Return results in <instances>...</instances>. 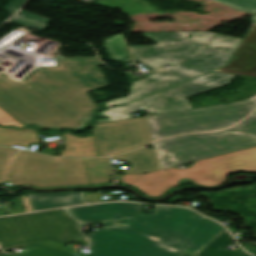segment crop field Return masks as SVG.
<instances>
[{"instance_id":"1","label":"crop field","mask_w":256,"mask_h":256,"mask_svg":"<svg viewBox=\"0 0 256 256\" xmlns=\"http://www.w3.org/2000/svg\"><path fill=\"white\" fill-rule=\"evenodd\" d=\"M58 65L38 66L24 80L0 73V107L23 125L38 129H81L99 108L88 93L108 83L96 57L57 58ZM31 86V88H28Z\"/></svg>"},{"instance_id":"2","label":"crop field","mask_w":256,"mask_h":256,"mask_svg":"<svg viewBox=\"0 0 256 256\" xmlns=\"http://www.w3.org/2000/svg\"><path fill=\"white\" fill-rule=\"evenodd\" d=\"M140 209L141 205L135 203L67 208L79 220L80 227L95 221H101L104 227L124 224L194 255L225 230L220 224L185 208L156 206L154 214L140 213Z\"/></svg>"},{"instance_id":"3","label":"crop field","mask_w":256,"mask_h":256,"mask_svg":"<svg viewBox=\"0 0 256 256\" xmlns=\"http://www.w3.org/2000/svg\"><path fill=\"white\" fill-rule=\"evenodd\" d=\"M232 172H256V147L197 161L188 169L173 167L149 174L123 175V183L154 198L178 185L181 179L189 178L194 185L217 186Z\"/></svg>"},{"instance_id":"4","label":"crop field","mask_w":256,"mask_h":256,"mask_svg":"<svg viewBox=\"0 0 256 256\" xmlns=\"http://www.w3.org/2000/svg\"><path fill=\"white\" fill-rule=\"evenodd\" d=\"M109 158L57 159L20 151L11 179L37 187L87 185L111 181Z\"/></svg>"},{"instance_id":"5","label":"crop field","mask_w":256,"mask_h":256,"mask_svg":"<svg viewBox=\"0 0 256 256\" xmlns=\"http://www.w3.org/2000/svg\"><path fill=\"white\" fill-rule=\"evenodd\" d=\"M161 169L256 146V111L234 128L184 135L153 144Z\"/></svg>"},{"instance_id":"6","label":"crop field","mask_w":256,"mask_h":256,"mask_svg":"<svg viewBox=\"0 0 256 256\" xmlns=\"http://www.w3.org/2000/svg\"><path fill=\"white\" fill-rule=\"evenodd\" d=\"M256 107V96L229 105L188 109L147 118L152 140L185 132L214 131L245 118ZM238 123V122H237Z\"/></svg>"},{"instance_id":"7","label":"crop field","mask_w":256,"mask_h":256,"mask_svg":"<svg viewBox=\"0 0 256 256\" xmlns=\"http://www.w3.org/2000/svg\"><path fill=\"white\" fill-rule=\"evenodd\" d=\"M82 236L75 220L64 209L0 218V245L3 251L46 240L70 244Z\"/></svg>"},{"instance_id":"8","label":"crop field","mask_w":256,"mask_h":256,"mask_svg":"<svg viewBox=\"0 0 256 256\" xmlns=\"http://www.w3.org/2000/svg\"><path fill=\"white\" fill-rule=\"evenodd\" d=\"M92 253L88 256H181L183 253L124 226L100 229L88 236ZM30 250L22 256H76L37 244L23 245ZM0 256H16L0 253Z\"/></svg>"},{"instance_id":"9","label":"crop field","mask_w":256,"mask_h":256,"mask_svg":"<svg viewBox=\"0 0 256 256\" xmlns=\"http://www.w3.org/2000/svg\"><path fill=\"white\" fill-rule=\"evenodd\" d=\"M240 41V38L223 35L216 36L203 54L151 75L144 80L134 82L131 94L128 97L106 102L104 103L105 107L126 103L221 67L227 63Z\"/></svg>"},{"instance_id":"10","label":"crop field","mask_w":256,"mask_h":256,"mask_svg":"<svg viewBox=\"0 0 256 256\" xmlns=\"http://www.w3.org/2000/svg\"><path fill=\"white\" fill-rule=\"evenodd\" d=\"M235 76L222 73H209L125 107H114L102 112L99 114L100 116H109L110 118L96 120L95 124L132 118L130 113L141 107L149 112L155 113L191 108L186 98L228 84Z\"/></svg>"},{"instance_id":"11","label":"crop field","mask_w":256,"mask_h":256,"mask_svg":"<svg viewBox=\"0 0 256 256\" xmlns=\"http://www.w3.org/2000/svg\"><path fill=\"white\" fill-rule=\"evenodd\" d=\"M190 34L192 36L187 39ZM142 35L158 44L153 47H129L135 61L150 70H160L168 63L175 65L202 53L216 33L162 32Z\"/></svg>"},{"instance_id":"12","label":"crop field","mask_w":256,"mask_h":256,"mask_svg":"<svg viewBox=\"0 0 256 256\" xmlns=\"http://www.w3.org/2000/svg\"><path fill=\"white\" fill-rule=\"evenodd\" d=\"M99 156L116 155L150 143L144 117L92 126Z\"/></svg>"},{"instance_id":"13","label":"crop field","mask_w":256,"mask_h":256,"mask_svg":"<svg viewBox=\"0 0 256 256\" xmlns=\"http://www.w3.org/2000/svg\"><path fill=\"white\" fill-rule=\"evenodd\" d=\"M216 71L256 77V22L252 23L229 64Z\"/></svg>"},{"instance_id":"14","label":"crop field","mask_w":256,"mask_h":256,"mask_svg":"<svg viewBox=\"0 0 256 256\" xmlns=\"http://www.w3.org/2000/svg\"><path fill=\"white\" fill-rule=\"evenodd\" d=\"M112 159H122L130 164V168L114 170L115 172H124V174L149 173L157 171L158 165L155 153L152 150L141 149L127 153Z\"/></svg>"},{"instance_id":"15","label":"crop field","mask_w":256,"mask_h":256,"mask_svg":"<svg viewBox=\"0 0 256 256\" xmlns=\"http://www.w3.org/2000/svg\"><path fill=\"white\" fill-rule=\"evenodd\" d=\"M28 198L33 211L53 207L85 204L83 193L29 194Z\"/></svg>"},{"instance_id":"16","label":"crop field","mask_w":256,"mask_h":256,"mask_svg":"<svg viewBox=\"0 0 256 256\" xmlns=\"http://www.w3.org/2000/svg\"><path fill=\"white\" fill-rule=\"evenodd\" d=\"M64 137L66 150L62 151L63 156H97L92 134L81 138L67 132Z\"/></svg>"},{"instance_id":"17","label":"crop field","mask_w":256,"mask_h":256,"mask_svg":"<svg viewBox=\"0 0 256 256\" xmlns=\"http://www.w3.org/2000/svg\"><path fill=\"white\" fill-rule=\"evenodd\" d=\"M28 143H39L35 129L0 128V146H27Z\"/></svg>"},{"instance_id":"18","label":"crop field","mask_w":256,"mask_h":256,"mask_svg":"<svg viewBox=\"0 0 256 256\" xmlns=\"http://www.w3.org/2000/svg\"><path fill=\"white\" fill-rule=\"evenodd\" d=\"M232 241V237L225 230L199 254H197V256H250L245 252L222 251Z\"/></svg>"},{"instance_id":"19","label":"crop field","mask_w":256,"mask_h":256,"mask_svg":"<svg viewBox=\"0 0 256 256\" xmlns=\"http://www.w3.org/2000/svg\"><path fill=\"white\" fill-rule=\"evenodd\" d=\"M103 44L107 51L110 53V57L113 60L121 62H130L129 52L126 48L123 35L113 36L105 41Z\"/></svg>"},{"instance_id":"20","label":"crop field","mask_w":256,"mask_h":256,"mask_svg":"<svg viewBox=\"0 0 256 256\" xmlns=\"http://www.w3.org/2000/svg\"><path fill=\"white\" fill-rule=\"evenodd\" d=\"M11 21L21 23L39 30H43L47 28L50 20L41 16L20 11L18 12L17 16L14 17Z\"/></svg>"},{"instance_id":"21","label":"crop field","mask_w":256,"mask_h":256,"mask_svg":"<svg viewBox=\"0 0 256 256\" xmlns=\"http://www.w3.org/2000/svg\"><path fill=\"white\" fill-rule=\"evenodd\" d=\"M15 150L0 148V184L7 181V174L10 170L15 156Z\"/></svg>"},{"instance_id":"22","label":"crop field","mask_w":256,"mask_h":256,"mask_svg":"<svg viewBox=\"0 0 256 256\" xmlns=\"http://www.w3.org/2000/svg\"><path fill=\"white\" fill-rule=\"evenodd\" d=\"M228 7L244 12L256 14V0H213Z\"/></svg>"},{"instance_id":"23","label":"crop field","mask_w":256,"mask_h":256,"mask_svg":"<svg viewBox=\"0 0 256 256\" xmlns=\"http://www.w3.org/2000/svg\"><path fill=\"white\" fill-rule=\"evenodd\" d=\"M0 125H13L15 127H24L15 118H13L10 114L4 112L2 109H0Z\"/></svg>"},{"instance_id":"24","label":"crop field","mask_w":256,"mask_h":256,"mask_svg":"<svg viewBox=\"0 0 256 256\" xmlns=\"http://www.w3.org/2000/svg\"><path fill=\"white\" fill-rule=\"evenodd\" d=\"M26 0H12L10 4L5 8L10 13H15L17 9L25 2Z\"/></svg>"},{"instance_id":"25","label":"crop field","mask_w":256,"mask_h":256,"mask_svg":"<svg viewBox=\"0 0 256 256\" xmlns=\"http://www.w3.org/2000/svg\"><path fill=\"white\" fill-rule=\"evenodd\" d=\"M182 256H194V255H190V254L184 253Z\"/></svg>"},{"instance_id":"26","label":"crop field","mask_w":256,"mask_h":256,"mask_svg":"<svg viewBox=\"0 0 256 256\" xmlns=\"http://www.w3.org/2000/svg\"><path fill=\"white\" fill-rule=\"evenodd\" d=\"M252 21H256V15L252 16Z\"/></svg>"}]
</instances>
